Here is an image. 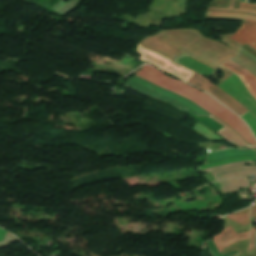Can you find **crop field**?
Instances as JSON below:
<instances>
[{
    "mask_svg": "<svg viewBox=\"0 0 256 256\" xmlns=\"http://www.w3.org/2000/svg\"><path fill=\"white\" fill-rule=\"evenodd\" d=\"M157 70L150 65H145L136 75L150 81L153 84L184 96L185 98L189 99L190 101L225 121L247 142L256 144V139L254 138L247 125L226 107L218 103L209 95L187 84L177 81Z\"/></svg>",
    "mask_w": 256,
    "mask_h": 256,
    "instance_id": "1",
    "label": "crop field"
},
{
    "mask_svg": "<svg viewBox=\"0 0 256 256\" xmlns=\"http://www.w3.org/2000/svg\"><path fill=\"white\" fill-rule=\"evenodd\" d=\"M125 85L154 99L170 103L183 111L187 109L197 116L210 115L204 109L200 108L189 100L153 85L137 76L127 80Z\"/></svg>",
    "mask_w": 256,
    "mask_h": 256,
    "instance_id": "2",
    "label": "crop field"
},
{
    "mask_svg": "<svg viewBox=\"0 0 256 256\" xmlns=\"http://www.w3.org/2000/svg\"><path fill=\"white\" fill-rule=\"evenodd\" d=\"M207 79V78H206ZM204 77L199 75L198 73H194V75L189 79L188 83L193 84L203 90L208 91L212 96L230 108L239 116L248 111L245 109L240 103L232 99L225 92H223L220 88L206 80ZM205 91V92H206ZM207 92V93H208ZM251 128L253 133L256 136V118L249 111L240 116Z\"/></svg>",
    "mask_w": 256,
    "mask_h": 256,
    "instance_id": "3",
    "label": "crop field"
},
{
    "mask_svg": "<svg viewBox=\"0 0 256 256\" xmlns=\"http://www.w3.org/2000/svg\"><path fill=\"white\" fill-rule=\"evenodd\" d=\"M137 51L142 54L141 59L186 82L194 73V71L178 65L159 54L143 48L140 45H138Z\"/></svg>",
    "mask_w": 256,
    "mask_h": 256,
    "instance_id": "4",
    "label": "crop field"
},
{
    "mask_svg": "<svg viewBox=\"0 0 256 256\" xmlns=\"http://www.w3.org/2000/svg\"><path fill=\"white\" fill-rule=\"evenodd\" d=\"M217 86L234 97L256 116V100L248 93L238 76L233 74Z\"/></svg>",
    "mask_w": 256,
    "mask_h": 256,
    "instance_id": "5",
    "label": "crop field"
},
{
    "mask_svg": "<svg viewBox=\"0 0 256 256\" xmlns=\"http://www.w3.org/2000/svg\"><path fill=\"white\" fill-rule=\"evenodd\" d=\"M249 238V231L235 234L230 226L223 229V231L214 236L212 239L219 250L222 252L227 246L244 239Z\"/></svg>",
    "mask_w": 256,
    "mask_h": 256,
    "instance_id": "6",
    "label": "crop field"
},
{
    "mask_svg": "<svg viewBox=\"0 0 256 256\" xmlns=\"http://www.w3.org/2000/svg\"><path fill=\"white\" fill-rule=\"evenodd\" d=\"M241 45L249 44L256 49V22L246 20L240 29L231 37Z\"/></svg>",
    "mask_w": 256,
    "mask_h": 256,
    "instance_id": "7",
    "label": "crop field"
},
{
    "mask_svg": "<svg viewBox=\"0 0 256 256\" xmlns=\"http://www.w3.org/2000/svg\"><path fill=\"white\" fill-rule=\"evenodd\" d=\"M242 156L256 157L254 150L227 149L223 151H215V152L209 153L206 164L224 160V159L242 157Z\"/></svg>",
    "mask_w": 256,
    "mask_h": 256,
    "instance_id": "8",
    "label": "crop field"
},
{
    "mask_svg": "<svg viewBox=\"0 0 256 256\" xmlns=\"http://www.w3.org/2000/svg\"><path fill=\"white\" fill-rule=\"evenodd\" d=\"M253 173H256V166H242V167L228 168V169L212 172V175L215 178V180H219L223 178L248 176Z\"/></svg>",
    "mask_w": 256,
    "mask_h": 256,
    "instance_id": "9",
    "label": "crop field"
},
{
    "mask_svg": "<svg viewBox=\"0 0 256 256\" xmlns=\"http://www.w3.org/2000/svg\"><path fill=\"white\" fill-rule=\"evenodd\" d=\"M185 55H183L180 58H178L175 62H177V63H179L181 65H184V66H186V67H188V68H190V69H192V70H194V71H196V72H198V73H200V74H202V75H204L206 77L209 76L210 74H212L213 69H215V68L211 67L210 65H208V64H206V63H204L202 61H199V60H197V59H195L193 57H191V58H193V59H195V60H197V61H199V62H201V63H203V64H205V65H207V66H209L211 68H213V69H211V68H209V67H207V66H205V65H203V64H201V63H199V62H197V61H195V60H193L191 58H189L191 55L189 57H187L189 54L187 56H185Z\"/></svg>",
    "mask_w": 256,
    "mask_h": 256,
    "instance_id": "10",
    "label": "crop field"
},
{
    "mask_svg": "<svg viewBox=\"0 0 256 256\" xmlns=\"http://www.w3.org/2000/svg\"><path fill=\"white\" fill-rule=\"evenodd\" d=\"M225 64L227 66L235 69L239 73H241L243 75V77L245 78V80L247 81V83L250 86V88L252 89V91L256 94V78L254 76H252L249 72H247L245 69H243L242 67H240L239 65H237L236 63H234L231 60L225 62ZM225 64L223 63L222 66L227 67ZM230 70H232V69H230ZM232 71L237 73L242 78V80H243L244 84L246 85L247 89L249 90V92L256 98V95L251 91V89L247 85V83L244 80V78L242 77V75L239 74L238 72L234 71V70H232Z\"/></svg>",
    "mask_w": 256,
    "mask_h": 256,
    "instance_id": "11",
    "label": "crop field"
},
{
    "mask_svg": "<svg viewBox=\"0 0 256 256\" xmlns=\"http://www.w3.org/2000/svg\"><path fill=\"white\" fill-rule=\"evenodd\" d=\"M222 193L234 192L245 187H249V181L246 178L230 179L217 181Z\"/></svg>",
    "mask_w": 256,
    "mask_h": 256,
    "instance_id": "12",
    "label": "crop field"
},
{
    "mask_svg": "<svg viewBox=\"0 0 256 256\" xmlns=\"http://www.w3.org/2000/svg\"><path fill=\"white\" fill-rule=\"evenodd\" d=\"M210 118L215 120L216 122H218L219 124H221L224 127L223 129H221L218 132H216L220 136H222L223 138L227 139L229 142H231V143H233V144H235V145H237L239 147H242L244 145H248L229 126H227L226 124H224L223 122L219 121L218 119H216L214 117H210Z\"/></svg>",
    "mask_w": 256,
    "mask_h": 256,
    "instance_id": "13",
    "label": "crop field"
},
{
    "mask_svg": "<svg viewBox=\"0 0 256 256\" xmlns=\"http://www.w3.org/2000/svg\"><path fill=\"white\" fill-rule=\"evenodd\" d=\"M208 9L245 11V12L256 14V12H254V11L242 10V9H223V8H213V7H209ZM206 16H214V17H239V18L251 19V20H255L256 21V17L255 16H247V15H242V14L210 13V12H207Z\"/></svg>",
    "mask_w": 256,
    "mask_h": 256,
    "instance_id": "14",
    "label": "crop field"
},
{
    "mask_svg": "<svg viewBox=\"0 0 256 256\" xmlns=\"http://www.w3.org/2000/svg\"><path fill=\"white\" fill-rule=\"evenodd\" d=\"M248 211H249V208L246 209V210H243L241 212H238V213H235V214H232L230 216H227L228 218L242 224V225H245V224H248L249 221H248Z\"/></svg>",
    "mask_w": 256,
    "mask_h": 256,
    "instance_id": "15",
    "label": "crop field"
},
{
    "mask_svg": "<svg viewBox=\"0 0 256 256\" xmlns=\"http://www.w3.org/2000/svg\"><path fill=\"white\" fill-rule=\"evenodd\" d=\"M243 160H256V158L242 157V158L229 159V160L220 161V162H216V163H212V164H208V165H204V166H199L197 168H198V170H200V169H204V168L210 167V166H215V165L230 163V162H236V161H243Z\"/></svg>",
    "mask_w": 256,
    "mask_h": 256,
    "instance_id": "16",
    "label": "crop field"
},
{
    "mask_svg": "<svg viewBox=\"0 0 256 256\" xmlns=\"http://www.w3.org/2000/svg\"><path fill=\"white\" fill-rule=\"evenodd\" d=\"M246 164H252V161H243V162L225 164V165L213 167V168L206 169V170H201L200 173L211 172V171H214V170H217V169L228 168V167H233V166H237V165H246Z\"/></svg>",
    "mask_w": 256,
    "mask_h": 256,
    "instance_id": "17",
    "label": "crop field"
},
{
    "mask_svg": "<svg viewBox=\"0 0 256 256\" xmlns=\"http://www.w3.org/2000/svg\"><path fill=\"white\" fill-rule=\"evenodd\" d=\"M207 243H208V245H209V247H210V249H211L213 255H214V256H220V254L218 253V251H217V249H216V247H215L213 241H212V240H209V241H207ZM237 253H239V252H238L237 250H235V251H232V252H230V253L224 254V255H222V256H233V255H235V254H237Z\"/></svg>",
    "mask_w": 256,
    "mask_h": 256,
    "instance_id": "18",
    "label": "crop field"
},
{
    "mask_svg": "<svg viewBox=\"0 0 256 256\" xmlns=\"http://www.w3.org/2000/svg\"><path fill=\"white\" fill-rule=\"evenodd\" d=\"M239 8L250 9V10L256 11V5H251V4L241 3V2H240V5H239Z\"/></svg>",
    "mask_w": 256,
    "mask_h": 256,
    "instance_id": "19",
    "label": "crop field"
},
{
    "mask_svg": "<svg viewBox=\"0 0 256 256\" xmlns=\"http://www.w3.org/2000/svg\"><path fill=\"white\" fill-rule=\"evenodd\" d=\"M254 234H255V228H251V241H250L248 250L253 249V245H254Z\"/></svg>",
    "mask_w": 256,
    "mask_h": 256,
    "instance_id": "20",
    "label": "crop field"
},
{
    "mask_svg": "<svg viewBox=\"0 0 256 256\" xmlns=\"http://www.w3.org/2000/svg\"><path fill=\"white\" fill-rule=\"evenodd\" d=\"M250 217H256V205H253L250 211Z\"/></svg>",
    "mask_w": 256,
    "mask_h": 256,
    "instance_id": "21",
    "label": "crop field"
},
{
    "mask_svg": "<svg viewBox=\"0 0 256 256\" xmlns=\"http://www.w3.org/2000/svg\"><path fill=\"white\" fill-rule=\"evenodd\" d=\"M211 12H229V13H242V14H247V15H253V14H248L244 12H234V11H219V10H209ZM256 16V15H255Z\"/></svg>",
    "mask_w": 256,
    "mask_h": 256,
    "instance_id": "22",
    "label": "crop field"
},
{
    "mask_svg": "<svg viewBox=\"0 0 256 256\" xmlns=\"http://www.w3.org/2000/svg\"><path fill=\"white\" fill-rule=\"evenodd\" d=\"M4 234H5V231H3V230L0 229V241L2 240Z\"/></svg>",
    "mask_w": 256,
    "mask_h": 256,
    "instance_id": "23",
    "label": "crop field"
},
{
    "mask_svg": "<svg viewBox=\"0 0 256 256\" xmlns=\"http://www.w3.org/2000/svg\"><path fill=\"white\" fill-rule=\"evenodd\" d=\"M234 0H230V4H229V7L228 8H232L233 7V4H234Z\"/></svg>",
    "mask_w": 256,
    "mask_h": 256,
    "instance_id": "24",
    "label": "crop field"
}]
</instances>
